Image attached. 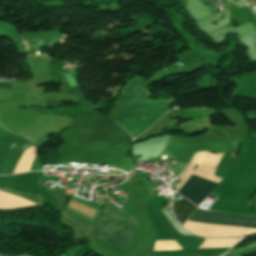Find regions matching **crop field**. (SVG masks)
<instances>
[{
  "instance_id": "crop-field-4",
  "label": "crop field",
  "mask_w": 256,
  "mask_h": 256,
  "mask_svg": "<svg viewBox=\"0 0 256 256\" xmlns=\"http://www.w3.org/2000/svg\"><path fill=\"white\" fill-rule=\"evenodd\" d=\"M215 187L216 184L192 175L177 193L199 206Z\"/></svg>"
},
{
  "instance_id": "crop-field-5",
  "label": "crop field",
  "mask_w": 256,
  "mask_h": 256,
  "mask_svg": "<svg viewBox=\"0 0 256 256\" xmlns=\"http://www.w3.org/2000/svg\"><path fill=\"white\" fill-rule=\"evenodd\" d=\"M196 207L190 202L183 199L178 203L174 202L173 211L178 220L183 225L187 218L190 216V214L196 209Z\"/></svg>"
},
{
  "instance_id": "crop-field-3",
  "label": "crop field",
  "mask_w": 256,
  "mask_h": 256,
  "mask_svg": "<svg viewBox=\"0 0 256 256\" xmlns=\"http://www.w3.org/2000/svg\"><path fill=\"white\" fill-rule=\"evenodd\" d=\"M187 221L208 225L256 229V217L221 212H205L198 208Z\"/></svg>"
},
{
  "instance_id": "crop-field-7",
  "label": "crop field",
  "mask_w": 256,
  "mask_h": 256,
  "mask_svg": "<svg viewBox=\"0 0 256 256\" xmlns=\"http://www.w3.org/2000/svg\"><path fill=\"white\" fill-rule=\"evenodd\" d=\"M246 38L256 49V35H248Z\"/></svg>"
},
{
  "instance_id": "crop-field-6",
  "label": "crop field",
  "mask_w": 256,
  "mask_h": 256,
  "mask_svg": "<svg viewBox=\"0 0 256 256\" xmlns=\"http://www.w3.org/2000/svg\"><path fill=\"white\" fill-rule=\"evenodd\" d=\"M59 154L60 153H51V152H49L48 155H47V158L45 160V165L56 166L58 158H59Z\"/></svg>"
},
{
  "instance_id": "crop-field-1",
  "label": "crop field",
  "mask_w": 256,
  "mask_h": 256,
  "mask_svg": "<svg viewBox=\"0 0 256 256\" xmlns=\"http://www.w3.org/2000/svg\"><path fill=\"white\" fill-rule=\"evenodd\" d=\"M150 96L145 88L137 84L116 121L133 138L156 122L175 101L147 100Z\"/></svg>"
},
{
  "instance_id": "crop-field-2",
  "label": "crop field",
  "mask_w": 256,
  "mask_h": 256,
  "mask_svg": "<svg viewBox=\"0 0 256 256\" xmlns=\"http://www.w3.org/2000/svg\"><path fill=\"white\" fill-rule=\"evenodd\" d=\"M139 228L138 222L107 199L93 225V235L112 244L131 248Z\"/></svg>"
}]
</instances>
